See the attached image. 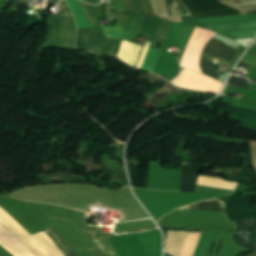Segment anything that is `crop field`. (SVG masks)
<instances>
[{
  "label": "crop field",
  "instance_id": "crop-field-1",
  "mask_svg": "<svg viewBox=\"0 0 256 256\" xmlns=\"http://www.w3.org/2000/svg\"><path fill=\"white\" fill-rule=\"evenodd\" d=\"M0 224L29 246L35 256H63L53 241L44 232L31 236L1 208Z\"/></svg>",
  "mask_w": 256,
  "mask_h": 256
},
{
  "label": "crop field",
  "instance_id": "crop-field-2",
  "mask_svg": "<svg viewBox=\"0 0 256 256\" xmlns=\"http://www.w3.org/2000/svg\"><path fill=\"white\" fill-rule=\"evenodd\" d=\"M61 13L47 20L48 33L45 46H66L74 48L76 27L73 15L66 2L60 6Z\"/></svg>",
  "mask_w": 256,
  "mask_h": 256
},
{
  "label": "crop field",
  "instance_id": "crop-field-3",
  "mask_svg": "<svg viewBox=\"0 0 256 256\" xmlns=\"http://www.w3.org/2000/svg\"><path fill=\"white\" fill-rule=\"evenodd\" d=\"M122 41L102 40L101 32L78 28L77 48L89 49L96 52L117 56Z\"/></svg>",
  "mask_w": 256,
  "mask_h": 256
},
{
  "label": "crop field",
  "instance_id": "crop-field-4",
  "mask_svg": "<svg viewBox=\"0 0 256 256\" xmlns=\"http://www.w3.org/2000/svg\"><path fill=\"white\" fill-rule=\"evenodd\" d=\"M214 35L216 34L209 30L196 28L183 54L181 66L186 69L201 72L199 68L201 53L205 45Z\"/></svg>",
  "mask_w": 256,
  "mask_h": 256
},
{
  "label": "crop field",
  "instance_id": "crop-field-5",
  "mask_svg": "<svg viewBox=\"0 0 256 256\" xmlns=\"http://www.w3.org/2000/svg\"><path fill=\"white\" fill-rule=\"evenodd\" d=\"M187 7L192 19L237 15L239 11L231 9L217 0H181Z\"/></svg>",
  "mask_w": 256,
  "mask_h": 256
},
{
  "label": "crop field",
  "instance_id": "crop-field-6",
  "mask_svg": "<svg viewBox=\"0 0 256 256\" xmlns=\"http://www.w3.org/2000/svg\"><path fill=\"white\" fill-rule=\"evenodd\" d=\"M173 84L191 90L212 92L217 94H219L223 88L222 83L200 73L186 69H183L179 77L173 81Z\"/></svg>",
  "mask_w": 256,
  "mask_h": 256
},
{
  "label": "crop field",
  "instance_id": "crop-field-7",
  "mask_svg": "<svg viewBox=\"0 0 256 256\" xmlns=\"http://www.w3.org/2000/svg\"><path fill=\"white\" fill-rule=\"evenodd\" d=\"M201 233L168 232L166 251L176 256H192Z\"/></svg>",
  "mask_w": 256,
  "mask_h": 256
},
{
  "label": "crop field",
  "instance_id": "crop-field-8",
  "mask_svg": "<svg viewBox=\"0 0 256 256\" xmlns=\"http://www.w3.org/2000/svg\"><path fill=\"white\" fill-rule=\"evenodd\" d=\"M0 244L14 256H34L31 249L0 225Z\"/></svg>",
  "mask_w": 256,
  "mask_h": 256
},
{
  "label": "crop field",
  "instance_id": "crop-field-9",
  "mask_svg": "<svg viewBox=\"0 0 256 256\" xmlns=\"http://www.w3.org/2000/svg\"><path fill=\"white\" fill-rule=\"evenodd\" d=\"M201 167L197 164L183 165L181 191L194 192Z\"/></svg>",
  "mask_w": 256,
  "mask_h": 256
},
{
  "label": "crop field",
  "instance_id": "crop-field-10",
  "mask_svg": "<svg viewBox=\"0 0 256 256\" xmlns=\"http://www.w3.org/2000/svg\"><path fill=\"white\" fill-rule=\"evenodd\" d=\"M204 53H208L225 60L230 61L233 56L237 53L234 48L225 45V43L212 38L206 45Z\"/></svg>",
  "mask_w": 256,
  "mask_h": 256
},
{
  "label": "crop field",
  "instance_id": "crop-field-11",
  "mask_svg": "<svg viewBox=\"0 0 256 256\" xmlns=\"http://www.w3.org/2000/svg\"><path fill=\"white\" fill-rule=\"evenodd\" d=\"M44 232L54 241L64 256H77L63 236L53 227Z\"/></svg>",
  "mask_w": 256,
  "mask_h": 256
},
{
  "label": "crop field",
  "instance_id": "crop-field-12",
  "mask_svg": "<svg viewBox=\"0 0 256 256\" xmlns=\"http://www.w3.org/2000/svg\"><path fill=\"white\" fill-rule=\"evenodd\" d=\"M154 71L175 78L179 72V64L159 58Z\"/></svg>",
  "mask_w": 256,
  "mask_h": 256
},
{
  "label": "crop field",
  "instance_id": "crop-field-13",
  "mask_svg": "<svg viewBox=\"0 0 256 256\" xmlns=\"http://www.w3.org/2000/svg\"><path fill=\"white\" fill-rule=\"evenodd\" d=\"M225 204L217 199L185 206L179 209L225 211Z\"/></svg>",
  "mask_w": 256,
  "mask_h": 256
},
{
  "label": "crop field",
  "instance_id": "crop-field-14",
  "mask_svg": "<svg viewBox=\"0 0 256 256\" xmlns=\"http://www.w3.org/2000/svg\"><path fill=\"white\" fill-rule=\"evenodd\" d=\"M77 20L78 27L82 28H93V24L88 22L85 18L84 11L79 6L78 2L73 0H66Z\"/></svg>",
  "mask_w": 256,
  "mask_h": 256
},
{
  "label": "crop field",
  "instance_id": "crop-field-15",
  "mask_svg": "<svg viewBox=\"0 0 256 256\" xmlns=\"http://www.w3.org/2000/svg\"><path fill=\"white\" fill-rule=\"evenodd\" d=\"M198 184L214 186V187H219V188H224L229 190H234L237 186L236 183L225 182L221 179L209 178V177H203V176L199 177Z\"/></svg>",
  "mask_w": 256,
  "mask_h": 256
},
{
  "label": "crop field",
  "instance_id": "crop-field-16",
  "mask_svg": "<svg viewBox=\"0 0 256 256\" xmlns=\"http://www.w3.org/2000/svg\"><path fill=\"white\" fill-rule=\"evenodd\" d=\"M217 67H218V64H215L213 62H210L201 58L200 68L203 71V73L216 80L219 77V75L216 74Z\"/></svg>",
  "mask_w": 256,
  "mask_h": 256
},
{
  "label": "crop field",
  "instance_id": "crop-field-17",
  "mask_svg": "<svg viewBox=\"0 0 256 256\" xmlns=\"http://www.w3.org/2000/svg\"><path fill=\"white\" fill-rule=\"evenodd\" d=\"M125 27L107 26L103 29L107 38L122 39Z\"/></svg>",
  "mask_w": 256,
  "mask_h": 256
},
{
  "label": "crop field",
  "instance_id": "crop-field-18",
  "mask_svg": "<svg viewBox=\"0 0 256 256\" xmlns=\"http://www.w3.org/2000/svg\"><path fill=\"white\" fill-rule=\"evenodd\" d=\"M89 235L92 237V239L95 241V243L108 255L113 256L115 255L111 249L105 244L103 239L101 238L99 232H88Z\"/></svg>",
  "mask_w": 256,
  "mask_h": 256
},
{
  "label": "crop field",
  "instance_id": "crop-field-19",
  "mask_svg": "<svg viewBox=\"0 0 256 256\" xmlns=\"http://www.w3.org/2000/svg\"><path fill=\"white\" fill-rule=\"evenodd\" d=\"M229 85L238 87V88H242V89H246V90H250L247 86V80L246 79H242V78H237V77H233L231 76L229 82Z\"/></svg>",
  "mask_w": 256,
  "mask_h": 256
},
{
  "label": "crop field",
  "instance_id": "crop-field-20",
  "mask_svg": "<svg viewBox=\"0 0 256 256\" xmlns=\"http://www.w3.org/2000/svg\"><path fill=\"white\" fill-rule=\"evenodd\" d=\"M156 51L157 50H155V49H151V48L149 49L147 58L145 57L146 60H145V63L143 65V67H142L143 70H147V71L149 70V68H150V66H151V64H152V62L154 60Z\"/></svg>",
  "mask_w": 256,
  "mask_h": 256
},
{
  "label": "crop field",
  "instance_id": "crop-field-21",
  "mask_svg": "<svg viewBox=\"0 0 256 256\" xmlns=\"http://www.w3.org/2000/svg\"><path fill=\"white\" fill-rule=\"evenodd\" d=\"M160 52H161V51H159V50L157 51V54H156L154 63H153L152 68H151V70H150L151 72L153 71V69H154V67H155V64H156V61H157V59H158V56H159Z\"/></svg>",
  "mask_w": 256,
  "mask_h": 256
},
{
  "label": "crop field",
  "instance_id": "crop-field-22",
  "mask_svg": "<svg viewBox=\"0 0 256 256\" xmlns=\"http://www.w3.org/2000/svg\"><path fill=\"white\" fill-rule=\"evenodd\" d=\"M174 2V0H166V3H167V7H168V11H169V15H170V17L172 16L171 15V11H170V7H169V5L171 4V3H173Z\"/></svg>",
  "mask_w": 256,
  "mask_h": 256
},
{
  "label": "crop field",
  "instance_id": "crop-field-23",
  "mask_svg": "<svg viewBox=\"0 0 256 256\" xmlns=\"http://www.w3.org/2000/svg\"><path fill=\"white\" fill-rule=\"evenodd\" d=\"M126 1V6L127 8H131L134 7L133 3L131 2V0H125Z\"/></svg>",
  "mask_w": 256,
  "mask_h": 256
},
{
  "label": "crop field",
  "instance_id": "crop-field-24",
  "mask_svg": "<svg viewBox=\"0 0 256 256\" xmlns=\"http://www.w3.org/2000/svg\"><path fill=\"white\" fill-rule=\"evenodd\" d=\"M239 65L245 66V67H248V68L250 67V64H247V63L242 62V61L239 62Z\"/></svg>",
  "mask_w": 256,
  "mask_h": 256
},
{
  "label": "crop field",
  "instance_id": "crop-field-25",
  "mask_svg": "<svg viewBox=\"0 0 256 256\" xmlns=\"http://www.w3.org/2000/svg\"><path fill=\"white\" fill-rule=\"evenodd\" d=\"M12 1H14V2H26L27 0H12Z\"/></svg>",
  "mask_w": 256,
  "mask_h": 256
},
{
  "label": "crop field",
  "instance_id": "crop-field-26",
  "mask_svg": "<svg viewBox=\"0 0 256 256\" xmlns=\"http://www.w3.org/2000/svg\"><path fill=\"white\" fill-rule=\"evenodd\" d=\"M166 256H170V255L166 254Z\"/></svg>",
  "mask_w": 256,
  "mask_h": 256
},
{
  "label": "crop field",
  "instance_id": "crop-field-27",
  "mask_svg": "<svg viewBox=\"0 0 256 256\" xmlns=\"http://www.w3.org/2000/svg\"><path fill=\"white\" fill-rule=\"evenodd\" d=\"M1 13V12H0Z\"/></svg>",
  "mask_w": 256,
  "mask_h": 256
}]
</instances>
